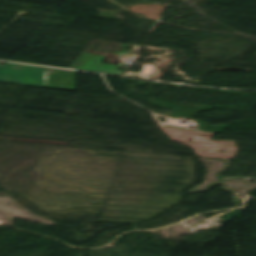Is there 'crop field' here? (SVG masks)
<instances>
[{
  "label": "crop field",
  "instance_id": "obj_1",
  "mask_svg": "<svg viewBox=\"0 0 256 256\" xmlns=\"http://www.w3.org/2000/svg\"><path fill=\"white\" fill-rule=\"evenodd\" d=\"M47 68L12 64L0 66V82L46 87Z\"/></svg>",
  "mask_w": 256,
  "mask_h": 256
}]
</instances>
